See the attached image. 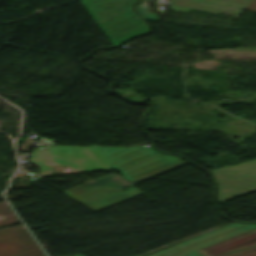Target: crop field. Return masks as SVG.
<instances>
[{
	"instance_id": "crop-field-6",
	"label": "crop field",
	"mask_w": 256,
	"mask_h": 256,
	"mask_svg": "<svg viewBox=\"0 0 256 256\" xmlns=\"http://www.w3.org/2000/svg\"><path fill=\"white\" fill-rule=\"evenodd\" d=\"M0 256H45L23 225L0 230Z\"/></svg>"
},
{
	"instance_id": "crop-field-10",
	"label": "crop field",
	"mask_w": 256,
	"mask_h": 256,
	"mask_svg": "<svg viewBox=\"0 0 256 256\" xmlns=\"http://www.w3.org/2000/svg\"><path fill=\"white\" fill-rule=\"evenodd\" d=\"M33 147L32 137H27L21 146L20 151L28 152Z\"/></svg>"
},
{
	"instance_id": "crop-field-12",
	"label": "crop field",
	"mask_w": 256,
	"mask_h": 256,
	"mask_svg": "<svg viewBox=\"0 0 256 256\" xmlns=\"http://www.w3.org/2000/svg\"><path fill=\"white\" fill-rule=\"evenodd\" d=\"M32 157H33V152H32L31 157H30V161H31V163H32Z\"/></svg>"
},
{
	"instance_id": "crop-field-7",
	"label": "crop field",
	"mask_w": 256,
	"mask_h": 256,
	"mask_svg": "<svg viewBox=\"0 0 256 256\" xmlns=\"http://www.w3.org/2000/svg\"><path fill=\"white\" fill-rule=\"evenodd\" d=\"M250 0H173L171 9L190 13L192 10L238 17Z\"/></svg>"
},
{
	"instance_id": "crop-field-3",
	"label": "crop field",
	"mask_w": 256,
	"mask_h": 256,
	"mask_svg": "<svg viewBox=\"0 0 256 256\" xmlns=\"http://www.w3.org/2000/svg\"><path fill=\"white\" fill-rule=\"evenodd\" d=\"M188 162L183 161L161 171L141 177L129 182L127 179L112 173L82 185L76 186L70 190L63 192L71 198L81 202L91 210L95 211L107 205L113 204L130 196L140 193L134 186L127 187V191L122 188L135 184L147 178L153 177L175 167L181 166Z\"/></svg>"
},
{
	"instance_id": "crop-field-4",
	"label": "crop field",
	"mask_w": 256,
	"mask_h": 256,
	"mask_svg": "<svg viewBox=\"0 0 256 256\" xmlns=\"http://www.w3.org/2000/svg\"><path fill=\"white\" fill-rule=\"evenodd\" d=\"M211 171L219 185L217 202L256 191V160Z\"/></svg>"
},
{
	"instance_id": "crop-field-1",
	"label": "crop field",
	"mask_w": 256,
	"mask_h": 256,
	"mask_svg": "<svg viewBox=\"0 0 256 256\" xmlns=\"http://www.w3.org/2000/svg\"><path fill=\"white\" fill-rule=\"evenodd\" d=\"M119 162L111 165L110 163ZM183 161L181 158L154 152L142 145L132 147L47 146L34 150L33 164H40L39 174L51 175L52 165H67L71 172L117 169L126 178L138 177Z\"/></svg>"
},
{
	"instance_id": "crop-field-11",
	"label": "crop field",
	"mask_w": 256,
	"mask_h": 256,
	"mask_svg": "<svg viewBox=\"0 0 256 256\" xmlns=\"http://www.w3.org/2000/svg\"><path fill=\"white\" fill-rule=\"evenodd\" d=\"M244 9L256 12V0H251Z\"/></svg>"
},
{
	"instance_id": "crop-field-5",
	"label": "crop field",
	"mask_w": 256,
	"mask_h": 256,
	"mask_svg": "<svg viewBox=\"0 0 256 256\" xmlns=\"http://www.w3.org/2000/svg\"><path fill=\"white\" fill-rule=\"evenodd\" d=\"M253 227H256V225L232 224L148 256H202L197 253L196 249L228 238Z\"/></svg>"
},
{
	"instance_id": "crop-field-8",
	"label": "crop field",
	"mask_w": 256,
	"mask_h": 256,
	"mask_svg": "<svg viewBox=\"0 0 256 256\" xmlns=\"http://www.w3.org/2000/svg\"><path fill=\"white\" fill-rule=\"evenodd\" d=\"M198 251L205 256H256V229Z\"/></svg>"
},
{
	"instance_id": "crop-field-2",
	"label": "crop field",
	"mask_w": 256,
	"mask_h": 256,
	"mask_svg": "<svg viewBox=\"0 0 256 256\" xmlns=\"http://www.w3.org/2000/svg\"><path fill=\"white\" fill-rule=\"evenodd\" d=\"M112 45L146 31L130 9L133 0H81Z\"/></svg>"
},
{
	"instance_id": "crop-field-9",
	"label": "crop field",
	"mask_w": 256,
	"mask_h": 256,
	"mask_svg": "<svg viewBox=\"0 0 256 256\" xmlns=\"http://www.w3.org/2000/svg\"><path fill=\"white\" fill-rule=\"evenodd\" d=\"M18 222L19 220L16 218V216L5 203V201L0 202V227Z\"/></svg>"
}]
</instances>
